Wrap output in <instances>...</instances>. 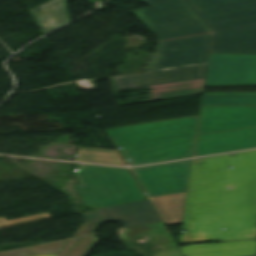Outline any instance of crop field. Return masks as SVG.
I'll list each match as a JSON object with an SVG mask.
<instances>
[{
    "label": "crop field",
    "instance_id": "9",
    "mask_svg": "<svg viewBox=\"0 0 256 256\" xmlns=\"http://www.w3.org/2000/svg\"><path fill=\"white\" fill-rule=\"evenodd\" d=\"M256 127V106H202L197 135Z\"/></svg>",
    "mask_w": 256,
    "mask_h": 256
},
{
    "label": "crop field",
    "instance_id": "20",
    "mask_svg": "<svg viewBox=\"0 0 256 256\" xmlns=\"http://www.w3.org/2000/svg\"><path fill=\"white\" fill-rule=\"evenodd\" d=\"M83 215H84V217L86 219V223L75 234L74 237H78V236H82V235L93 233L98 228V226L102 223V221H101V219H100V217H99V215H98L96 210L84 212Z\"/></svg>",
    "mask_w": 256,
    "mask_h": 256
},
{
    "label": "crop field",
    "instance_id": "13",
    "mask_svg": "<svg viewBox=\"0 0 256 256\" xmlns=\"http://www.w3.org/2000/svg\"><path fill=\"white\" fill-rule=\"evenodd\" d=\"M184 256H241L256 254V240L181 247Z\"/></svg>",
    "mask_w": 256,
    "mask_h": 256
},
{
    "label": "crop field",
    "instance_id": "24",
    "mask_svg": "<svg viewBox=\"0 0 256 256\" xmlns=\"http://www.w3.org/2000/svg\"><path fill=\"white\" fill-rule=\"evenodd\" d=\"M57 253L54 254H46V255H37V256H56Z\"/></svg>",
    "mask_w": 256,
    "mask_h": 256
},
{
    "label": "crop field",
    "instance_id": "22",
    "mask_svg": "<svg viewBox=\"0 0 256 256\" xmlns=\"http://www.w3.org/2000/svg\"><path fill=\"white\" fill-rule=\"evenodd\" d=\"M51 218L52 217L50 216L49 213L26 217V218H21V219H16V220H11V221H8L6 218L1 217L0 218V228L10 227V226H15V225H20V224H26V223H31V222H36V221H41V220H46V219H51Z\"/></svg>",
    "mask_w": 256,
    "mask_h": 256
},
{
    "label": "crop field",
    "instance_id": "15",
    "mask_svg": "<svg viewBox=\"0 0 256 256\" xmlns=\"http://www.w3.org/2000/svg\"><path fill=\"white\" fill-rule=\"evenodd\" d=\"M65 1L52 0L29 10L43 34L70 21Z\"/></svg>",
    "mask_w": 256,
    "mask_h": 256
},
{
    "label": "crop field",
    "instance_id": "12",
    "mask_svg": "<svg viewBox=\"0 0 256 256\" xmlns=\"http://www.w3.org/2000/svg\"><path fill=\"white\" fill-rule=\"evenodd\" d=\"M99 212L104 221L121 219L124 227L161 221L149 200L100 209Z\"/></svg>",
    "mask_w": 256,
    "mask_h": 256
},
{
    "label": "crop field",
    "instance_id": "3",
    "mask_svg": "<svg viewBox=\"0 0 256 256\" xmlns=\"http://www.w3.org/2000/svg\"><path fill=\"white\" fill-rule=\"evenodd\" d=\"M210 34L159 43L148 73L113 77L116 90L202 79L206 76Z\"/></svg>",
    "mask_w": 256,
    "mask_h": 256
},
{
    "label": "crop field",
    "instance_id": "1",
    "mask_svg": "<svg viewBox=\"0 0 256 256\" xmlns=\"http://www.w3.org/2000/svg\"><path fill=\"white\" fill-rule=\"evenodd\" d=\"M182 229L183 243L256 239V151L193 160Z\"/></svg>",
    "mask_w": 256,
    "mask_h": 256
},
{
    "label": "crop field",
    "instance_id": "10",
    "mask_svg": "<svg viewBox=\"0 0 256 256\" xmlns=\"http://www.w3.org/2000/svg\"><path fill=\"white\" fill-rule=\"evenodd\" d=\"M253 147H256V128L220 132L197 136L193 156Z\"/></svg>",
    "mask_w": 256,
    "mask_h": 256
},
{
    "label": "crop field",
    "instance_id": "21",
    "mask_svg": "<svg viewBox=\"0 0 256 256\" xmlns=\"http://www.w3.org/2000/svg\"><path fill=\"white\" fill-rule=\"evenodd\" d=\"M98 241L95 235L83 238L69 256H88Z\"/></svg>",
    "mask_w": 256,
    "mask_h": 256
},
{
    "label": "crop field",
    "instance_id": "17",
    "mask_svg": "<svg viewBox=\"0 0 256 256\" xmlns=\"http://www.w3.org/2000/svg\"><path fill=\"white\" fill-rule=\"evenodd\" d=\"M195 82H199V84L163 88L167 86H174V85H181V84H188V83H195ZM204 82H205V79H202V80L156 85V86L143 87V88L144 89L154 88L153 90L149 91L151 94L149 95V98L147 101H151V100L202 94L204 90Z\"/></svg>",
    "mask_w": 256,
    "mask_h": 256
},
{
    "label": "crop field",
    "instance_id": "2",
    "mask_svg": "<svg viewBox=\"0 0 256 256\" xmlns=\"http://www.w3.org/2000/svg\"><path fill=\"white\" fill-rule=\"evenodd\" d=\"M199 116L109 129L128 165L147 164L193 154ZM129 159L130 161H127Z\"/></svg>",
    "mask_w": 256,
    "mask_h": 256
},
{
    "label": "crop field",
    "instance_id": "23",
    "mask_svg": "<svg viewBox=\"0 0 256 256\" xmlns=\"http://www.w3.org/2000/svg\"><path fill=\"white\" fill-rule=\"evenodd\" d=\"M256 95V93H204L203 96Z\"/></svg>",
    "mask_w": 256,
    "mask_h": 256
},
{
    "label": "crop field",
    "instance_id": "6",
    "mask_svg": "<svg viewBox=\"0 0 256 256\" xmlns=\"http://www.w3.org/2000/svg\"><path fill=\"white\" fill-rule=\"evenodd\" d=\"M213 30L256 23V0H188Z\"/></svg>",
    "mask_w": 256,
    "mask_h": 256
},
{
    "label": "crop field",
    "instance_id": "14",
    "mask_svg": "<svg viewBox=\"0 0 256 256\" xmlns=\"http://www.w3.org/2000/svg\"><path fill=\"white\" fill-rule=\"evenodd\" d=\"M127 229L128 236L125 240L137 239L141 238L142 235L151 234L154 235L152 237H149L152 246L166 244L164 245V248L158 249L161 251H158V254L156 256H183L162 222L130 227Z\"/></svg>",
    "mask_w": 256,
    "mask_h": 256
},
{
    "label": "crop field",
    "instance_id": "5",
    "mask_svg": "<svg viewBox=\"0 0 256 256\" xmlns=\"http://www.w3.org/2000/svg\"><path fill=\"white\" fill-rule=\"evenodd\" d=\"M151 5L135 11L160 40L213 31L187 0H139Z\"/></svg>",
    "mask_w": 256,
    "mask_h": 256
},
{
    "label": "crop field",
    "instance_id": "4",
    "mask_svg": "<svg viewBox=\"0 0 256 256\" xmlns=\"http://www.w3.org/2000/svg\"><path fill=\"white\" fill-rule=\"evenodd\" d=\"M75 185L86 207L100 209L147 197L128 169L77 164Z\"/></svg>",
    "mask_w": 256,
    "mask_h": 256
},
{
    "label": "crop field",
    "instance_id": "11",
    "mask_svg": "<svg viewBox=\"0 0 256 256\" xmlns=\"http://www.w3.org/2000/svg\"><path fill=\"white\" fill-rule=\"evenodd\" d=\"M211 53L256 54V25L215 32Z\"/></svg>",
    "mask_w": 256,
    "mask_h": 256
},
{
    "label": "crop field",
    "instance_id": "7",
    "mask_svg": "<svg viewBox=\"0 0 256 256\" xmlns=\"http://www.w3.org/2000/svg\"><path fill=\"white\" fill-rule=\"evenodd\" d=\"M256 85V55L211 54L205 86Z\"/></svg>",
    "mask_w": 256,
    "mask_h": 256
},
{
    "label": "crop field",
    "instance_id": "25",
    "mask_svg": "<svg viewBox=\"0 0 256 256\" xmlns=\"http://www.w3.org/2000/svg\"><path fill=\"white\" fill-rule=\"evenodd\" d=\"M250 256H254V255H250Z\"/></svg>",
    "mask_w": 256,
    "mask_h": 256
},
{
    "label": "crop field",
    "instance_id": "18",
    "mask_svg": "<svg viewBox=\"0 0 256 256\" xmlns=\"http://www.w3.org/2000/svg\"><path fill=\"white\" fill-rule=\"evenodd\" d=\"M81 239L82 238L67 240L32 248L1 253L0 256H29L54 252H59L57 256H68V254L74 249V247L80 242Z\"/></svg>",
    "mask_w": 256,
    "mask_h": 256
},
{
    "label": "crop field",
    "instance_id": "16",
    "mask_svg": "<svg viewBox=\"0 0 256 256\" xmlns=\"http://www.w3.org/2000/svg\"><path fill=\"white\" fill-rule=\"evenodd\" d=\"M186 192L148 198L164 224L182 223Z\"/></svg>",
    "mask_w": 256,
    "mask_h": 256
},
{
    "label": "crop field",
    "instance_id": "19",
    "mask_svg": "<svg viewBox=\"0 0 256 256\" xmlns=\"http://www.w3.org/2000/svg\"><path fill=\"white\" fill-rule=\"evenodd\" d=\"M202 105H256V96L203 97Z\"/></svg>",
    "mask_w": 256,
    "mask_h": 256
},
{
    "label": "crop field",
    "instance_id": "8",
    "mask_svg": "<svg viewBox=\"0 0 256 256\" xmlns=\"http://www.w3.org/2000/svg\"><path fill=\"white\" fill-rule=\"evenodd\" d=\"M191 162L134 168L132 171L149 195L158 196L187 190Z\"/></svg>",
    "mask_w": 256,
    "mask_h": 256
}]
</instances>
